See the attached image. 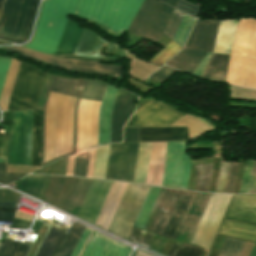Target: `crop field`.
Masks as SVG:
<instances>
[{
	"instance_id": "obj_48",
	"label": "crop field",
	"mask_w": 256,
	"mask_h": 256,
	"mask_svg": "<svg viewBox=\"0 0 256 256\" xmlns=\"http://www.w3.org/2000/svg\"><path fill=\"white\" fill-rule=\"evenodd\" d=\"M152 237H153L152 234L134 228L129 240L134 242V243H139V244L148 246Z\"/></svg>"
},
{
	"instance_id": "obj_31",
	"label": "crop field",
	"mask_w": 256,
	"mask_h": 256,
	"mask_svg": "<svg viewBox=\"0 0 256 256\" xmlns=\"http://www.w3.org/2000/svg\"><path fill=\"white\" fill-rule=\"evenodd\" d=\"M106 47L105 53L113 54V55H126L128 51L123 50L119 47V45L115 43H109L107 40L100 38L98 35H96L95 40L93 42V45L90 50L83 51L80 53H77L76 55H85V56H99L104 57L99 52L103 47Z\"/></svg>"
},
{
	"instance_id": "obj_24",
	"label": "crop field",
	"mask_w": 256,
	"mask_h": 256,
	"mask_svg": "<svg viewBox=\"0 0 256 256\" xmlns=\"http://www.w3.org/2000/svg\"><path fill=\"white\" fill-rule=\"evenodd\" d=\"M82 29L75 21L69 19L55 54H73Z\"/></svg>"
},
{
	"instance_id": "obj_38",
	"label": "crop field",
	"mask_w": 256,
	"mask_h": 256,
	"mask_svg": "<svg viewBox=\"0 0 256 256\" xmlns=\"http://www.w3.org/2000/svg\"><path fill=\"white\" fill-rule=\"evenodd\" d=\"M61 234L62 231L51 227L36 256H51Z\"/></svg>"
},
{
	"instance_id": "obj_64",
	"label": "crop field",
	"mask_w": 256,
	"mask_h": 256,
	"mask_svg": "<svg viewBox=\"0 0 256 256\" xmlns=\"http://www.w3.org/2000/svg\"><path fill=\"white\" fill-rule=\"evenodd\" d=\"M211 53L207 52V54L205 55V57L202 59V61L200 62V64L198 65V67L195 69V71L193 72V75L200 77L209 57H210Z\"/></svg>"
},
{
	"instance_id": "obj_56",
	"label": "crop field",
	"mask_w": 256,
	"mask_h": 256,
	"mask_svg": "<svg viewBox=\"0 0 256 256\" xmlns=\"http://www.w3.org/2000/svg\"><path fill=\"white\" fill-rule=\"evenodd\" d=\"M88 161L76 158L74 176L86 177Z\"/></svg>"
},
{
	"instance_id": "obj_7",
	"label": "crop field",
	"mask_w": 256,
	"mask_h": 256,
	"mask_svg": "<svg viewBox=\"0 0 256 256\" xmlns=\"http://www.w3.org/2000/svg\"><path fill=\"white\" fill-rule=\"evenodd\" d=\"M232 195L211 194L190 243L209 249Z\"/></svg>"
},
{
	"instance_id": "obj_57",
	"label": "crop field",
	"mask_w": 256,
	"mask_h": 256,
	"mask_svg": "<svg viewBox=\"0 0 256 256\" xmlns=\"http://www.w3.org/2000/svg\"><path fill=\"white\" fill-rule=\"evenodd\" d=\"M18 194L7 189H0V201L17 203Z\"/></svg>"
},
{
	"instance_id": "obj_22",
	"label": "crop field",
	"mask_w": 256,
	"mask_h": 256,
	"mask_svg": "<svg viewBox=\"0 0 256 256\" xmlns=\"http://www.w3.org/2000/svg\"><path fill=\"white\" fill-rule=\"evenodd\" d=\"M166 142L152 143L146 184L161 186Z\"/></svg>"
},
{
	"instance_id": "obj_33",
	"label": "crop field",
	"mask_w": 256,
	"mask_h": 256,
	"mask_svg": "<svg viewBox=\"0 0 256 256\" xmlns=\"http://www.w3.org/2000/svg\"><path fill=\"white\" fill-rule=\"evenodd\" d=\"M42 110H34L32 166L39 167Z\"/></svg>"
},
{
	"instance_id": "obj_10",
	"label": "crop field",
	"mask_w": 256,
	"mask_h": 256,
	"mask_svg": "<svg viewBox=\"0 0 256 256\" xmlns=\"http://www.w3.org/2000/svg\"><path fill=\"white\" fill-rule=\"evenodd\" d=\"M138 143L111 144L105 179L132 182Z\"/></svg>"
},
{
	"instance_id": "obj_73",
	"label": "crop field",
	"mask_w": 256,
	"mask_h": 256,
	"mask_svg": "<svg viewBox=\"0 0 256 256\" xmlns=\"http://www.w3.org/2000/svg\"><path fill=\"white\" fill-rule=\"evenodd\" d=\"M16 209L0 208V211L15 212Z\"/></svg>"
},
{
	"instance_id": "obj_11",
	"label": "crop field",
	"mask_w": 256,
	"mask_h": 256,
	"mask_svg": "<svg viewBox=\"0 0 256 256\" xmlns=\"http://www.w3.org/2000/svg\"><path fill=\"white\" fill-rule=\"evenodd\" d=\"M181 114L157 101H149L136 111L126 126H169Z\"/></svg>"
},
{
	"instance_id": "obj_36",
	"label": "crop field",
	"mask_w": 256,
	"mask_h": 256,
	"mask_svg": "<svg viewBox=\"0 0 256 256\" xmlns=\"http://www.w3.org/2000/svg\"><path fill=\"white\" fill-rule=\"evenodd\" d=\"M33 110L26 111L24 165L31 166Z\"/></svg>"
},
{
	"instance_id": "obj_54",
	"label": "crop field",
	"mask_w": 256,
	"mask_h": 256,
	"mask_svg": "<svg viewBox=\"0 0 256 256\" xmlns=\"http://www.w3.org/2000/svg\"><path fill=\"white\" fill-rule=\"evenodd\" d=\"M67 160H68V158L63 160V161H60L56 164L53 163L54 165L48 166V167L44 168L43 170H41L39 172L65 175Z\"/></svg>"
},
{
	"instance_id": "obj_18",
	"label": "crop field",
	"mask_w": 256,
	"mask_h": 256,
	"mask_svg": "<svg viewBox=\"0 0 256 256\" xmlns=\"http://www.w3.org/2000/svg\"><path fill=\"white\" fill-rule=\"evenodd\" d=\"M182 191L167 189L149 230L163 235Z\"/></svg>"
},
{
	"instance_id": "obj_51",
	"label": "crop field",
	"mask_w": 256,
	"mask_h": 256,
	"mask_svg": "<svg viewBox=\"0 0 256 256\" xmlns=\"http://www.w3.org/2000/svg\"><path fill=\"white\" fill-rule=\"evenodd\" d=\"M254 161L247 160L239 193H247Z\"/></svg>"
},
{
	"instance_id": "obj_42",
	"label": "crop field",
	"mask_w": 256,
	"mask_h": 256,
	"mask_svg": "<svg viewBox=\"0 0 256 256\" xmlns=\"http://www.w3.org/2000/svg\"><path fill=\"white\" fill-rule=\"evenodd\" d=\"M194 21V18L185 14L172 41H174L177 45L182 47Z\"/></svg>"
},
{
	"instance_id": "obj_46",
	"label": "crop field",
	"mask_w": 256,
	"mask_h": 256,
	"mask_svg": "<svg viewBox=\"0 0 256 256\" xmlns=\"http://www.w3.org/2000/svg\"><path fill=\"white\" fill-rule=\"evenodd\" d=\"M183 15H184L183 13H181L177 10H174L163 34L166 35L168 38L172 39Z\"/></svg>"
},
{
	"instance_id": "obj_15",
	"label": "crop field",
	"mask_w": 256,
	"mask_h": 256,
	"mask_svg": "<svg viewBox=\"0 0 256 256\" xmlns=\"http://www.w3.org/2000/svg\"><path fill=\"white\" fill-rule=\"evenodd\" d=\"M10 125L7 164L23 165L25 111L13 112Z\"/></svg>"
},
{
	"instance_id": "obj_55",
	"label": "crop field",
	"mask_w": 256,
	"mask_h": 256,
	"mask_svg": "<svg viewBox=\"0 0 256 256\" xmlns=\"http://www.w3.org/2000/svg\"><path fill=\"white\" fill-rule=\"evenodd\" d=\"M11 58L0 57V96L4 86L5 78L9 68Z\"/></svg>"
},
{
	"instance_id": "obj_77",
	"label": "crop field",
	"mask_w": 256,
	"mask_h": 256,
	"mask_svg": "<svg viewBox=\"0 0 256 256\" xmlns=\"http://www.w3.org/2000/svg\"><path fill=\"white\" fill-rule=\"evenodd\" d=\"M136 253H137V251H135V253H134V255H133V256H135V255H136Z\"/></svg>"
},
{
	"instance_id": "obj_53",
	"label": "crop field",
	"mask_w": 256,
	"mask_h": 256,
	"mask_svg": "<svg viewBox=\"0 0 256 256\" xmlns=\"http://www.w3.org/2000/svg\"><path fill=\"white\" fill-rule=\"evenodd\" d=\"M175 72H176V70L171 69L167 66H163L158 72H156L152 76H150V79H153V80L163 83Z\"/></svg>"
},
{
	"instance_id": "obj_17",
	"label": "crop field",
	"mask_w": 256,
	"mask_h": 256,
	"mask_svg": "<svg viewBox=\"0 0 256 256\" xmlns=\"http://www.w3.org/2000/svg\"><path fill=\"white\" fill-rule=\"evenodd\" d=\"M90 241L101 246V247H104L114 253H116L120 247H122V248L125 247V245H123L113 239H110L96 231L94 232ZM91 242H89V244L82 256H128V254L131 250V248L126 246L124 249L120 248L119 251L116 254H114V253H112L104 248H101Z\"/></svg>"
},
{
	"instance_id": "obj_67",
	"label": "crop field",
	"mask_w": 256,
	"mask_h": 256,
	"mask_svg": "<svg viewBox=\"0 0 256 256\" xmlns=\"http://www.w3.org/2000/svg\"><path fill=\"white\" fill-rule=\"evenodd\" d=\"M15 213L0 212V221L13 222Z\"/></svg>"
},
{
	"instance_id": "obj_3",
	"label": "crop field",
	"mask_w": 256,
	"mask_h": 256,
	"mask_svg": "<svg viewBox=\"0 0 256 256\" xmlns=\"http://www.w3.org/2000/svg\"><path fill=\"white\" fill-rule=\"evenodd\" d=\"M225 217L256 223V194L234 195ZM227 218L218 233L256 242V224Z\"/></svg>"
},
{
	"instance_id": "obj_75",
	"label": "crop field",
	"mask_w": 256,
	"mask_h": 256,
	"mask_svg": "<svg viewBox=\"0 0 256 256\" xmlns=\"http://www.w3.org/2000/svg\"><path fill=\"white\" fill-rule=\"evenodd\" d=\"M6 159H0V162H5Z\"/></svg>"
},
{
	"instance_id": "obj_4",
	"label": "crop field",
	"mask_w": 256,
	"mask_h": 256,
	"mask_svg": "<svg viewBox=\"0 0 256 256\" xmlns=\"http://www.w3.org/2000/svg\"><path fill=\"white\" fill-rule=\"evenodd\" d=\"M44 76L37 68L20 62L6 111L35 108Z\"/></svg>"
},
{
	"instance_id": "obj_66",
	"label": "crop field",
	"mask_w": 256,
	"mask_h": 256,
	"mask_svg": "<svg viewBox=\"0 0 256 256\" xmlns=\"http://www.w3.org/2000/svg\"><path fill=\"white\" fill-rule=\"evenodd\" d=\"M256 192V161L254 163V168L252 172L251 182L249 186L248 193H255Z\"/></svg>"
},
{
	"instance_id": "obj_61",
	"label": "crop field",
	"mask_w": 256,
	"mask_h": 256,
	"mask_svg": "<svg viewBox=\"0 0 256 256\" xmlns=\"http://www.w3.org/2000/svg\"><path fill=\"white\" fill-rule=\"evenodd\" d=\"M139 128H124V141H138Z\"/></svg>"
},
{
	"instance_id": "obj_69",
	"label": "crop field",
	"mask_w": 256,
	"mask_h": 256,
	"mask_svg": "<svg viewBox=\"0 0 256 256\" xmlns=\"http://www.w3.org/2000/svg\"><path fill=\"white\" fill-rule=\"evenodd\" d=\"M17 204H11V203H0V207H11L16 208Z\"/></svg>"
},
{
	"instance_id": "obj_49",
	"label": "crop field",
	"mask_w": 256,
	"mask_h": 256,
	"mask_svg": "<svg viewBox=\"0 0 256 256\" xmlns=\"http://www.w3.org/2000/svg\"><path fill=\"white\" fill-rule=\"evenodd\" d=\"M239 163L230 164L224 192L232 193Z\"/></svg>"
},
{
	"instance_id": "obj_76",
	"label": "crop field",
	"mask_w": 256,
	"mask_h": 256,
	"mask_svg": "<svg viewBox=\"0 0 256 256\" xmlns=\"http://www.w3.org/2000/svg\"><path fill=\"white\" fill-rule=\"evenodd\" d=\"M206 253H207V251H204V253H203V255H202V256H205V255H206Z\"/></svg>"
},
{
	"instance_id": "obj_8",
	"label": "crop field",
	"mask_w": 256,
	"mask_h": 256,
	"mask_svg": "<svg viewBox=\"0 0 256 256\" xmlns=\"http://www.w3.org/2000/svg\"><path fill=\"white\" fill-rule=\"evenodd\" d=\"M190 166L185 141L167 142L162 186L187 189Z\"/></svg>"
},
{
	"instance_id": "obj_52",
	"label": "crop field",
	"mask_w": 256,
	"mask_h": 256,
	"mask_svg": "<svg viewBox=\"0 0 256 256\" xmlns=\"http://www.w3.org/2000/svg\"><path fill=\"white\" fill-rule=\"evenodd\" d=\"M176 8H178L194 17H197L198 12L200 10V7H198L194 4H191L185 0H179L176 5Z\"/></svg>"
},
{
	"instance_id": "obj_37",
	"label": "crop field",
	"mask_w": 256,
	"mask_h": 256,
	"mask_svg": "<svg viewBox=\"0 0 256 256\" xmlns=\"http://www.w3.org/2000/svg\"><path fill=\"white\" fill-rule=\"evenodd\" d=\"M106 83L86 80L81 98L101 100Z\"/></svg>"
},
{
	"instance_id": "obj_60",
	"label": "crop field",
	"mask_w": 256,
	"mask_h": 256,
	"mask_svg": "<svg viewBox=\"0 0 256 256\" xmlns=\"http://www.w3.org/2000/svg\"><path fill=\"white\" fill-rule=\"evenodd\" d=\"M165 190L166 189H164V188H162L161 189V191H160V193H159V195H158V198H157V200H156V202H155V205H154V207H153V209H152V211H151V214H150V216H149V218H148V221H147V223H146V225H145V229H149V227H150V225H151V222H152V220H153V218H154V215H155V213H156V211H157V208H158V206H159V204H160V201H161V199H162V197H163V194H164V192H165Z\"/></svg>"
},
{
	"instance_id": "obj_16",
	"label": "crop field",
	"mask_w": 256,
	"mask_h": 256,
	"mask_svg": "<svg viewBox=\"0 0 256 256\" xmlns=\"http://www.w3.org/2000/svg\"><path fill=\"white\" fill-rule=\"evenodd\" d=\"M218 23L197 20L184 48L212 52Z\"/></svg>"
},
{
	"instance_id": "obj_71",
	"label": "crop field",
	"mask_w": 256,
	"mask_h": 256,
	"mask_svg": "<svg viewBox=\"0 0 256 256\" xmlns=\"http://www.w3.org/2000/svg\"><path fill=\"white\" fill-rule=\"evenodd\" d=\"M7 173L5 163H0V174Z\"/></svg>"
},
{
	"instance_id": "obj_23",
	"label": "crop field",
	"mask_w": 256,
	"mask_h": 256,
	"mask_svg": "<svg viewBox=\"0 0 256 256\" xmlns=\"http://www.w3.org/2000/svg\"><path fill=\"white\" fill-rule=\"evenodd\" d=\"M237 20L220 21L213 52L229 54Z\"/></svg>"
},
{
	"instance_id": "obj_44",
	"label": "crop field",
	"mask_w": 256,
	"mask_h": 256,
	"mask_svg": "<svg viewBox=\"0 0 256 256\" xmlns=\"http://www.w3.org/2000/svg\"><path fill=\"white\" fill-rule=\"evenodd\" d=\"M244 243V241L227 237L219 256H239Z\"/></svg>"
},
{
	"instance_id": "obj_9",
	"label": "crop field",
	"mask_w": 256,
	"mask_h": 256,
	"mask_svg": "<svg viewBox=\"0 0 256 256\" xmlns=\"http://www.w3.org/2000/svg\"><path fill=\"white\" fill-rule=\"evenodd\" d=\"M1 49L14 52L17 54H21L53 66L66 68L70 70L101 74V75L120 77L122 74L123 66H124V65L105 64V63L82 61V60L60 59V58L32 52L19 47L1 48Z\"/></svg>"
},
{
	"instance_id": "obj_1",
	"label": "crop field",
	"mask_w": 256,
	"mask_h": 256,
	"mask_svg": "<svg viewBox=\"0 0 256 256\" xmlns=\"http://www.w3.org/2000/svg\"><path fill=\"white\" fill-rule=\"evenodd\" d=\"M143 0H46L33 41L24 47L54 54L67 14L90 19L123 35Z\"/></svg>"
},
{
	"instance_id": "obj_41",
	"label": "crop field",
	"mask_w": 256,
	"mask_h": 256,
	"mask_svg": "<svg viewBox=\"0 0 256 256\" xmlns=\"http://www.w3.org/2000/svg\"><path fill=\"white\" fill-rule=\"evenodd\" d=\"M202 251L200 247L173 242L167 256H201Z\"/></svg>"
},
{
	"instance_id": "obj_26",
	"label": "crop field",
	"mask_w": 256,
	"mask_h": 256,
	"mask_svg": "<svg viewBox=\"0 0 256 256\" xmlns=\"http://www.w3.org/2000/svg\"><path fill=\"white\" fill-rule=\"evenodd\" d=\"M206 52L182 49L181 52L166 64L192 74Z\"/></svg>"
},
{
	"instance_id": "obj_21",
	"label": "crop field",
	"mask_w": 256,
	"mask_h": 256,
	"mask_svg": "<svg viewBox=\"0 0 256 256\" xmlns=\"http://www.w3.org/2000/svg\"><path fill=\"white\" fill-rule=\"evenodd\" d=\"M195 194V192H182L174 213L167 226V229L164 233V237L174 240L176 239Z\"/></svg>"
},
{
	"instance_id": "obj_58",
	"label": "crop field",
	"mask_w": 256,
	"mask_h": 256,
	"mask_svg": "<svg viewBox=\"0 0 256 256\" xmlns=\"http://www.w3.org/2000/svg\"><path fill=\"white\" fill-rule=\"evenodd\" d=\"M229 164H222L216 192H223Z\"/></svg>"
},
{
	"instance_id": "obj_70",
	"label": "crop field",
	"mask_w": 256,
	"mask_h": 256,
	"mask_svg": "<svg viewBox=\"0 0 256 256\" xmlns=\"http://www.w3.org/2000/svg\"><path fill=\"white\" fill-rule=\"evenodd\" d=\"M161 1H163V2H165V3H167V4H169V5H171V6H175V4H176V2H177V0H161Z\"/></svg>"
},
{
	"instance_id": "obj_72",
	"label": "crop field",
	"mask_w": 256,
	"mask_h": 256,
	"mask_svg": "<svg viewBox=\"0 0 256 256\" xmlns=\"http://www.w3.org/2000/svg\"><path fill=\"white\" fill-rule=\"evenodd\" d=\"M249 256H256V244L253 245V247L249 253Z\"/></svg>"
},
{
	"instance_id": "obj_65",
	"label": "crop field",
	"mask_w": 256,
	"mask_h": 256,
	"mask_svg": "<svg viewBox=\"0 0 256 256\" xmlns=\"http://www.w3.org/2000/svg\"><path fill=\"white\" fill-rule=\"evenodd\" d=\"M22 176L24 175H0V183L6 185Z\"/></svg>"
},
{
	"instance_id": "obj_6",
	"label": "crop field",
	"mask_w": 256,
	"mask_h": 256,
	"mask_svg": "<svg viewBox=\"0 0 256 256\" xmlns=\"http://www.w3.org/2000/svg\"><path fill=\"white\" fill-rule=\"evenodd\" d=\"M150 187L129 183L109 232L128 239L133 223Z\"/></svg>"
},
{
	"instance_id": "obj_35",
	"label": "crop field",
	"mask_w": 256,
	"mask_h": 256,
	"mask_svg": "<svg viewBox=\"0 0 256 256\" xmlns=\"http://www.w3.org/2000/svg\"><path fill=\"white\" fill-rule=\"evenodd\" d=\"M29 247V244L5 239L0 248V256H25Z\"/></svg>"
},
{
	"instance_id": "obj_74",
	"label": "crop field",
	"mask_w": 256,
	"mask_h": 256,
	"mask_svg": "<svg viewBox=\"0 0 256 256\" xmlns=\"http://www.w3.org/2000/svg\"><path fill=\"white\" fill-rule=\"evenodd\" d=\"M136 256H147V255H145V254H143V253H141V252L138 251V253H137Z\"/></svg>"
},
{
	"instance_id": "obj_30",
	"label": "crop field",
	"mask_w": 256,
	"mask_h": 256,
	"mask_svg": "<svg viewBox=\"0 0 256 256\" xmlns=\"http://www.w3.org/2000/svg\"><path fill=\"white\" fill-rule=\"evenodd\" d=\"M151 143H139L133 182L145 184Z\"/></svg>"
},
{
	"instance_id": "obj_25",
	"label": "crop field",
	"mask_w": 256,
	"mask_h": 256,
	"mask_svg": "<svg viewBox=\"0 0 256 256\" xmlns=\"http://www.w3.org/2000/svg\"><path fill=\"white\" fill-rule=\"evenodd\" d=\"M186 128H140L139 141L186 139Z\"/></svg>"
},
{
	"instance_id": "obj_50",
	"label": "crop field",
	"mask_w": 256,
	"mask_h": 256,
	"mask_svg": "<svg viewBox=\"0 0 256 256\" xmlns=\"http://www.w3.org/2000/svg\"><path fill=\"white\" fill-rule=\"evenodd\" d=\"M49 227L50 226H48V225L43 223V225H42V227H41V229H40L36 239L34 240V242H33L32 246H31L27 256H34L35 255V253L38 250L42 240L44 239V237H45Z\"/></svg>"
},
{
	"instance_id": "obj_47",
	"label": "crop field",
	"mask_w": 256,
	"mask_h": 256,
	"mask_svg": "<svg viewBox=\"0 0 256 256\" xmlns=\"http://www.w3.org/2000/svg\"><path fill=\"white\" fill-rule=\"evenodd\" d=\"M95 35L96 33L84 28L74 53L89 49L92 45Z\"/></svg>"
},
{
	"instance_id": "obj_27",
	"label": "crop field",
	"mask_w": 256,
	"mask_h": 256,
	"mask_svg": "<svg viewBox=\"0 0 256 256\" xmlns=\"http://www.w3.org/2000/svg\"><path fill=\"white\" fill-rule=\"evenodd\" d=\"M84 229L85 226L74 223L68 235L62 234L52 256H70Z\"/></svg>"
},
{
	"instance_id": "obj_40",
	"label": "crop field",
	"mask_w": 256,
	"mask_h": 256,
	"mask_svg": "<svg viewBox=\"0 0 256 256\" xmlns=\"http://www.w3.org/2000/svg\"><path fill=\"white\" fill-rule=\"evenodd\" d=\"M194 167L197 173L196 190L207 191L211 179L212 163Z\"/></svg>"
},
{
	"instance_id": "obj_62",
	"label": "crop field",
	"mask_w": 256,
	"mask_h": 256,
	"mask_svg": "<svg viewBox=\"0 0 256 256\" xmlns=\"http://www.w3.org/2000/svg\"><path fill=\"white\" fill-rule=\"evenodd\" d=\"M89 234H90V231L85 229L80 241L78 242V244H77V246H76V248H75V250H74V252L71 256H78L79 255V253H80L83 245L85 244Z\"/></svg>"
},
{
	"instance_id": "obj_45",
	"label": "crop field",
	"mask_w": 256,
	"mask_h": 256,
	"mask_svg": "<svg viewBox=\"0 0 256 256\" xmlns=\"http://www.w3.org/2000/svg\"><path fill=\"white\" fill-rule=\"evenodd\" d=\"M173 42L171 41L161 52L153 56L150 62L161 66L170 57L174 56L181 48Z\"/></svg>"
},
{
	"instance_id": "obj_14",
	"label": "crop field",
	"mask_w": 256,
	"mask_h": 256,
	"mask_svg": "<svg viewBox=\"0 0 256 256\" xmlns=\"http://www.w3.org/2000/svg\"><path fill=\"white\" fill-rule=\"evenodd\" d=\"M129 93L123 89L117 90L112 110L110 142H121L122 126L133 111L135 96Z\"/></svg>"
},
{
	"instance_id": "obj_68",
	"label": "crop field",
	"mask_w": 256,
	"mask_h": 256,
	"mask_svg": "<svg viewBox=\"0 0 256 256\" xmlns=\"http://www.w3.org/2000/svg\"><path fill=\"white\" fill-rule=\"evenodd\" d=\"M30 225L29 222H25V221H21V220H17L15 219V222L12 226V228H22V229H26L28 228Z\"/></svg>"
},
{
	"instance_id": "obj_19",
	"label": "crop field",
	"mask_w": 256,
	"mask_h": 256,
	"mask_svg": "<svg viewBox=\"0 0 256 256\" xmlns=\"http://www.w3.org/2000/svg\"><path fill=\"white\" fill-rule=\"evenodd\" d=\"M116 87L107 84L99 109L98 146L109 142L111 109Z\"/></svg>"
},
{
	"instance_id": "obj_39",
	"label": "crop field",
	"mask_w": 256,
	"mask_h": 256,
	"mask_svg": "<svg viewBox=\"0 0 256 256\" xmlns=\"http://www.w3.org/2000/svg\"><path fill=\"white\" fill-rule=\"evenodd\" d=\"M18 63L19 62L14 60V59L11 60L10 68H9V71H8L5 86H4L3 93H2V96H1V100H0V107L4 111L6 110V106H7V103H8L9 95H10L11 88H12V85H13V81H14V78H15Z\"/></svg>"
},
{
	"instance_id": "obj_29",
	"label": "crop field",
	"mask_w": 256,
	"mask_h": 256,
	"mask_svg": "<svg viewBox=\"0 0 256 256\" xmlns=\"http://www.w3.org/2000/svg\"><path fill=\"white\" fill-rule=\"evenodd\" d=\"M228 55L213 53L204 72L205 74L224 77ZM202 74V79L222 82L224 78Z\"/></svg>"
},
{
	"instance_id": "obj_32",
	"label": "crop field",
	"mask_w": 256,
	"mask_h": 256,
	"mask_svg": "<svg viewBox=\"0 0 256 256\" xmlns=\"http://www.w3.org/2000/svg\"><path fill=\"white\" fill-rule=\"evenodd\" d=\"M49 176H29L21 181L18 189L39 198Z\"/></svg>"
},
{
	"instance_id": "obj_5",
	"label": "crop field",
	"mask_w": 256,
	"mask_h": 256,
	"mask_svg": "<svg viewBox=\"0 0 256 256\" xmlns=\"http://www.w3.org/2000/svg\"><path fill=\"white\" fill-rule=\"evenodd\" d=\"M173 10L158 0H144L131 22L128 32L158 42Z\"/></svg>"
},
{
	"instance_id": "obj_13",
	"label": "crop field",
	"mask_w": 256,
	"mask_h": 256,
	"mask_svg": "<svg viewBox=\"0 0 256 256\" xmlns=\"http://www.w3.org/2000/svg\"><path fill=\"white\" fill-rule=\"evenodd\" d=\"M112 183L94 180L77 217L94 224Z\"/></svg>"
},
{
	"instance_id": "obj_59",
	"label": "crop field",
	"mask_w": 256,
	"mask_h": 256,
	"mask_svg": "<svg viewBox=\"0 0 256 256\" xmlns=\"http://www.w3.org/2000/svg\"><path fill=\"white\" fill-rule=\"evenodd\" d=\"M166 241L167 240L162 239V238L154 235V237H153V239H152V241H151V243H150L148 248H150V249H152V250H154V251H156L158 253H161V251H162Z\"/></svg>"
},
{
	"instance_id": "obj_2",
	"label": "crop field",
	"mask_w": 256,
	"mask_h": 256,
	"mask_svg": "<svg viewBox=\"0 0 256 256\" xmlns=\"http://www.w3.org/2000/svg\"><path fill=\"white\" fill-rule=\"evenodd\" d=\"M38 0H0V38L18 43L30 34Z\"/></svg>"
},
{
	"instance_id": "obj_34",
	"label": "crop field",
	"mask_w": 256,
	"mask_h": 256,
	"mask_svg": "<svg viewBox=\"0 0 256 256\" xmlns=\"http://www.w3.org/2000/svg\"><path fill=\"white\" fill-rule=\"evenodd\" d=\"M160 189L161 188H156V187H151L150 188V190L148 192V195L145 199V202H144V204L141 208V211L138 215L135 226H139V227H142V228L144 227Z\"/></svg>"
},
{
	"instance_id": "obj_43",
	"label": "crop field",
	"mask_w": 256,
	"mask_h": 256,
	"mask_svg": "<svg viewBox=\"0 0 256 256\" xmlns=\"http://www.w3.org/2000/svg\"><path fill=\"white\" fill-rule=\"evenodd\" d=\"M108 148L109 145L97 149L93 177L104 179Z\"/></svg>"
},
{
	"instance_id": "obj_28",
	"label": "crop field",
	"mask_w": 256,
	"mask_h": 256,
	"mask_svg": "<svg viewBox=\"0 0 256 256\" xmlns=\"http://www.w3.org/2000/svg\"><path fill=\"white\" fill-rule=\"evenodd\" d=\"M171 126H187L189 140L215 129L212 125L201 118H196L187 114L177 120Z\"/></svg>"
},
{
	"instance_id": "obj_63",
	"label": "crop field",
	"mask_w": 256,
	"mask_h": 256,
	"mask_svg": "<svg viewBox=\"0 0 256 256\" xmlns=\"http://www.w3.org/2000/svg\"><path fill=\"white\" fill-rule=\"evenodd\" d=\"M58 57H70V58H79V59H88V60H95V61H113L116 62L117 57H104V58H95V57H85V56H58Z\"/></svg>"
},
{
	"instance_id": "obj_12",
	"label": "crop field",
	"mask_w": 256,
	"mask_h": 256,
	"mask_svg": "<svg viewBox=\"0 0 256 256\" xmlns=\"http://www.w3.org/2000/svg\"><path fill=\"white\" fill-rule=\"evenodd\" d=\"M85 80H78V79H68L62 77H55L52 76L50 80V84L47 90V94L43 104V119H42V139H41V158H40V166L51 162L48 161L43 164V149H44V123H45V107L48 99L49 93H56V94H68V95H76L78 96L76 107H75V124H74V144H73V153H75V142H76V120H77V108L80 100L81 91L84 85ZM70 154H65L60 157H64ZM58 157V158H60ZM56 158V159H58ZM54 159V160H56ZM52 160V161H54Z\"/></svg>"
},
{
	"instance_id": "obj_20",
	"label": "crop field",
	"mask_w": 256,
	"mask_h": 256,
	"mask_svg": "<svg viewBox=\"0 0 256 256\" xmlns=\"http://www.w3.org/2000/svg\"><path fill=\"white\" fill-rule=\"evenodd\" d=\"M127 184L128 183H113L95 223L96 226L101 225L103 229L108 230Z\"/></svg>"
}]
</instances>
